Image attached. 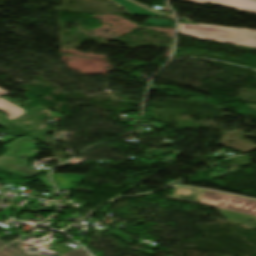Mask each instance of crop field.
I'll use <instances>...</instances> for the list:
<instances>
[{
	"label": "crop field",
	"mask_w": 256,
	"mask_h": 256,
	"mask_svg": "<svg viewBox=\"0 0 256 256\" xmlns=\"http://www.w3.org/2000/svg\"><path fill=\"white\" fill-rule=\"evenodd\" d=\"M242 30L256 32L255 30L218 27L197 23V25L179 24V34L204 40L234 44Z\"/></svg>",
	"instance_id": "8a807250"
},
{
	"label": "crop field",
	"mask_w": 256,
	"mask_h": 256,
	"mask_svg": "<svg viewBox=\"0 0 256 256\" xmlns=\"http://www.w3.org/2000/svg\"><path fill=\"white\" fill-rule=\"evenodd\" d=\"M201 204L256 215V201L206 190Z\"/></svg>",
	"instance_id": "ac0d7876"
},
{
	"label": "crop field",
	"mask_w": 256,
	"mask_h": 256,
	"mask_svg": "<svg viewBox=\"0 0 256 256\" xmlns=\"http://www.w3.org/2000/svg\"><path fill=\"white\" fill-rule=\"evenodd\" d=\"M114 3L122 6L133 16H150V17H160V18H171L170 15L155 12L139 3L132 0H112Z\"/></svg>",
	"instance_id": "34b2d1b8"
},
{
	"label": "crop field",
	"mask_w": 256,
	"mask_h": 256,
	"mask_svg": "<svg viewBox=\"0 0 256 256\" xmlns=\"http://www.w3.org/2000/svg\"><path fill=\"white\" fill-rule=\"evenodd\" d=\"M197 3H211L256 14V0H188Z\"/></svg>",
	"instance_id": "412701ff"
},
{
	"label": "crop field",
	"mask_w": 256,
	"mask_h": 256,
	"mask_svg": "<svg viewBox=\"0 0 256 256\" xmlns=\"http://www.w3.org/2000/svg\"><path fill=\"white\" fill-rule=\"evenodd\" d=\"M0 256H42L26 253L17 243L13 242L0 250ZM63 256H89L81 247L64 254Z\"/></svg>",
	"instance_id": "f4fd0767"
},
{
	"label": "crop field",
	"mask_w": 256,
	"mask_h": 256,
	"mask_svg": "<svg viewBox=\"0 0 256 256\" xmlns=\"http://www.w3.org/2000/svg\"><path fill=\"white\" fill-rule=\"evenodd\" d=\"M84 177L85 175L78 174H52V178L55 181L57 188L65 190H74ZM72 182L77 184H71Z\"/></svg>",
	"instance_id": "dd49c442"
},
{
	"label": "crop field",
	"mask_w": 256,
	"mask_h": 256,
	"mask_svg": "<svg viewBox=\"0 0 256 256\" xmlns=\"http://www.w3.org/2000/svg\"><path fill=\"white\" fill-rule=\"evenodd\" d=\"M204 190L190 188H176L172 200L199 203Z\"/></svg>",
	"instance_id": "e52e79f7"
},
{
	"label": "crop field",
	"mask_w": 256,
	"mask_h": 256,
	"mask_svg": "<svg viewBox=\"0 0 256 256\" xmlns=\"http://www.w3.org/2000/svg\"><path fill=\"white\" fill-rule=\"evenodd\" d=\"M0 111L6 114V118L14 120L25 114V110L0 97Z\"/></svg>",
	"instance_id": "d8731c3e"
},
{
	"label": "crop field",
	"mask_w": 256,
	"mask_h": 256,
	"mask_svg": "<svg viewBox=\"0 0 256 256\" xmlns=\"http://www.w3.org/2000/svg\"><path fill=\"white\" fill-rule=\"evenodd\" d=\"M235 44L256 47V33L243 31Z\"/></svg>",
	"instance_id": "5a996713"
},
{
	"label": "crop field",
	"mask_w": 256,
	"mask_h": 256,
	"mask_svg": "<svg viewBox=\"0 0 256 256\" xmlns=\"http://www.w3.org/2000/svg\"><path fill=\"white\" fill-rule=\"evenodd\" d=\"M51 248H52V247H51ZM51 250H54V251H56V252H59V253L64 254V253H66L69 249H67L66 247H62V246L56 245V246H54Z\"/></svg>",
	"instance_id": "3316defc"
},
{
	"label": "crop field",
	"mask_w": 256,
	"mask_h": 256,
	"mask_svg": "<svg viewBox=\"0 0 256 256\" xmlns=\"http://www.w3.org/2000/svg\"><path fill=\"white\" fill-rule=\"evenodd\" d=\"M7 122H9V120L3 117V114L0 113V126Z\"/></svg>",
	"instance_id": "28ad6ade"
},
{
	"label": "crop field",
	"mask_w": 256,
	"mask_h": 256,
	"mask_svg": "<svg viewBox=\"0 0 256 256\" xmlns=\"http://www.w3.org/2000/svg\"><path fill=\"white\" fill-rule=\"evenodd\" d=\"M4 94H8V92L0 88V95H4Z\"/></svg>",
	"instance_id": "d1516ede"
},
{
	"label": "crop field",
	"mask_w": 256,
	"mask_h": 256,
	"mask_svg": "<svg viewBox=\"0 0 256 256\" xmlns=\"http://www.w3.org/2000/svg\"><path fill=\"white\" fill-rule=\"evenodd\" d=\"M3 245H5V243L0 242V247H2Z\"/></svg>",
	"instance_id": "22f410ed"
}]
</instances>
